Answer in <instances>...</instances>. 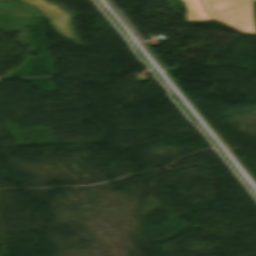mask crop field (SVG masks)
<instances>
[{
    "label": "crop field",
    "mask_w": 256,
    "mask_h": 256,
    "mask_svg": "<svg viewBox=\"0 0 256 256\" xmlns=\"http://www.w3.org/2000/svg\"><path fill=\"white\" fill-rule=\"evenodd\" d=\"M187 8L188 21H210L212 20L206 13L200 0H183Z\"/></svg>",
    "instance_id": "crop-field-1"
}]
</instances>
